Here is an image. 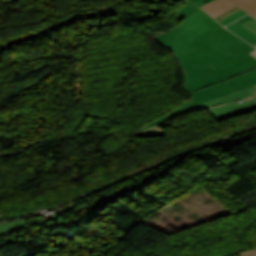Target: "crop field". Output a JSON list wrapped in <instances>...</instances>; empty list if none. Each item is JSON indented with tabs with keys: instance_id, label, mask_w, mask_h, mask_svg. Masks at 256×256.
Wrapping results in <instances>:
<instances>
[{
	"instance_id": "obj_1",
	"label": "crop field",
	"mask_w": 256,
	"mask_h": 256,
	"mask_svg": "<svg viewBox=\"0 0 256 256\" xmlns=\"http://www.w3.org/2000/svg\"><path fill=\"white\" fill-rule=\"evenodd\" d=\"M142 1L165 2L170 6L183 2L175 18L178 22L187 18L154 39L174 53L185 77L182 89L193 100L138 127V131L174 118L190 106L256 84V58L249 53L255 48L200 9L199 6L212 0H138Z\"/></svg>"
},
{
	"instance_id": "obj_2",
	"label": "crop field",
	"mask_w": 256,
	"mask_h": 256,
	"mask_svg": "<svg viewBox=\"0 0 256 256\" xmlns=\"http://www.w3.org/2000/svg\"><path fill=\"white\" fill-rule=\"evenodd\" d=\"M236 5L256 17V0H214L201 7L215 18Z\"/></svg>"
},
{
	"instance_id": "obj_3",
	"label": "crop field",
	"mask_w": 256,
	"mask_h": 256,
	"mask_svg": "<svg viewBox=\"0 0 256 256\" xmlns=\"http://www.w3.org/2000/svg\"><path fill=\"white\" fill-rule=\"evenodd\" d=\"M232 24L226 27L233 31L235 34H237L239 37L250 43L251 45H256V35L253 32L248 30L246 27H244L237 21L234 22V26Z\"/></svg>"
},
{
	"instance_id": "obj_4",
	"label": "crop field",
	"mask_w": 256,
	"mask_h": 256,
	"mask_svg": "<svg viewBox=\"0 0 256 256\" xmlns=\"http://www.w3.org/2000/svg\"><path fill=\"white\" fill-rule=\"evenodd\" d=\"M6 229V231H4ZM17 229H28L24 220L10 221L6 223H0V237L8 236V232H14Z\"/></svg>"
},
{
	"instance_id": "obj_5",
	"label": "crop field",
	"mask_w": 256,
	"mask_h": 256,
	"mask_svg": "<svg viewBox=\"0 0 256 256\" xmlns=\"http://www.w3.org/2000/svg\"><path fill=\"white\" fill-rule=\"evenodd\" d=\"M135 135L140 136H163L166 133L160 128V126L144 130L142 132H134Z\"/></svg>"
},
{
	"instance_id": "obj_6",
	"label": "crop field",
	"mask_w": 256,
	"mask_h": 256,
	"mask_svg": "<svg viewBox=\"0 0 256 256\" xmlns=\"http://www.w3.org/2000/svg\"><path fill=\"white\" fill-rule=\"evenodd\" d=\"M241 24H243L244 26H246L248 29H250L251 31H253L256 34V19L251 17L250 15H247L239 20Z\"/></svg>"
},
{
	"instance_id": "obj_7",
	"label": "crop field",
	"mask_w": 256,
	"mask_h": 256,
	"mask_svg": "<svg viewBox=\"0 0 256 256\" xmlns=\"http://www.w3.org/2000/svg\"><path fill=\"white\" fill-rule=\"evenodd\" d=\"M245 14H247V13L241 9V10L235 12L234 14H232V15L226 17L225 19H223V20H221V21H219V22H220L223 26H225V25L229 24L230 22L234 21L235 19H237V18H239V17H241V16H243V15H245Z\"/></svg>"
},
{
	"instance_id": "obj_8",
	"label": "crop field",
	"mask_w": 256,
	"mask_h": 256,
	"mask_svg": "<svg viewBox=\"0 0 256 256\" xmlns=\"http://www.w3.org/2000/svg\"><path fill=\"white\" fill-rule=\"evenodd\" d=\"M239 9H241V8L236 6V7L232 8L231 10L227 11L226 13H224V14L220 15L219 17L215 18V19H217L219 21V20L225 18L226 16L234 13L235 11H237Z\"/></svg>"
},
{
	"instance_id": "obj_9",
	"label": "crop field",
	"mask_w": 256,
	"mask_h": 256,
	"mask_svg": "<svg viewBox=\"0 0 256 256\" xmlns=\"http://www.w3.org/2000/svg\"><path fill=\"white\" fill-rule=\"evenodd\" d=\"M21 216H27V215H26V213H23V214H17V215L2 216V217H0V220L18 218Z\"/></svg>"
},
{
	"instance_id": "obj_10",
	"label": "crop field",
	"mask_w": 256,
	"mask_h": 256,
	"mask_svg": "<svg viewBox=\"0 0 256 256\" xmlns=\"http://www.w3.org/2000/svg\"><path fill=\"white\" fill-rule=\"evenodd\" d=\"M241 256H256V249L248 251V252H244L240 254Z\"/></svg>"
},
{
	"instance_id": "obj_11",
	"label": "crop field",
	"mask_w": 256,
	"mask_h": 256,
	"mask_svg": "<svg viewBox=\"0 0 256 256\" xmlns=\"http://www.w3.org/2000/svg\"><path fill=\"white\" fill-rule=\"evenodd\" d=\"M256 47V46H255ZM252 54H254L256 56V51H254Z\"/></svg>"
}]
</instances>
